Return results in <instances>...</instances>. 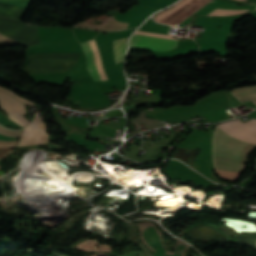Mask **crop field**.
Segmentation results:
<instances>
[{
	"label": "crop field",
	"instance_id": "obj_1",
	"mask_svg": "<svg viewBox=\"0 0 256 256\" xmlns=\"http://www.w3.org/2000/svg\"><path fill=\"white\" fill-rule=\"evenodd\" d=\"M256 143L236 139L218 125L213 134V163L215 169L243 172L248 153Z\"/></svg>",
	"mask_w": 256,
	"mask_h": 256
},
{
	"label": "crop field",
	"instance_id": "obj_2",
	"mask_svg": "<svg viewBox=\"0 0 256 256\" xmlns=\"http://www.w3.org/2000/svg\"><path fill=\"white\" fill-rule=\"evenodd\" d=\"M128 38L129 37L113 41L116 63L124 60ZM80 44L86 55L87 69L93 81L102 80L96 69L94 54L90 42L87 41Z\"/></svg>",
	"mask_w": 256,
	"mask_h": 256
},
{
	"label": "crop field",
	"instance_id": "obj_3",
	"mask_svg": "<svg viewBox=\"0 0 256 256\" xmlns=\"http://www.w3.org/2000/svg\"><path fill=\"white\" fill-rule=\"evenodd\" d=\"M129 47L170 51L177 47V41L133 34Z\"/></svg>",
	"mask_w": 256,
	"mask_h": 256
},
{
	"label": "crop field",
	"instance_id": "obj_4",
	"mask_svg": "<svg viewBox=\"0 0 256 256\" xmlns=\"http://www.w3.org/2000/svg\"><path fill=\"white\" fill-rule=\"evenodd\" d=\"M0 106L10 119L25 127L29 122L21 115L26 112L25 106L18 99L4 92H0Z\"/></svg>",
	"mask_w": 256,
	"mask_h": 256
},
{
	"label": "crop field",
	"instance_id": "obj_5",
	"mask_svg": "<svg viewBox=\"0 0 256 256\" xmlns=\"http://www.w3.org/2000/svg\"><path fill=\"white\" fill-rule=\"evenodd\" d=\"M47 139L48 135L45 132L43 119L36 118L27 128L24 129L18 146L43 143L47 142Z\"/></svg>",
	"mask_w": 256,
	"mask_h": 256
},
{
	"label": "crop field",
	"instance_id": "obj_6",
	"mask_svg": "<svg viewBox=\"0 0 256 256\" xmlns=\"http://www.w3.org/2000/svg\"><path fill=\"white\" fill-rule=\"evenodd\" d=\"M249 7L250 6H240V5H236V4H232V3L212 0L208 4H206L204 7L199 9L197 12H195L193 15H206L215 8H219V9H249ZM193 15H191V16H193ZM189 18L184 20L178 26L182 27L185 24L188 25Z\"/></svg>",
	"mask_w": 256,
	"mask_h": 256
},
{
	"label": "crop field",
	"instance_id": "obj_7",
	"mask_svg": "<svg viewBox=\"0 0 256 256\" xmlns=\"http://www.w3.org/2000/svg\"><path fill=\"white\" fill-rule=\"evenodd\" d=\"M221 21L210 17H198L199 25H206L204 37L216 38L217 30Z\"/></svg>",
	"mask_w": 256,
	"mask_h": 256
},
{
	"label": "crop field",
	"instance_id": "obj_8",
	"mask_svg": "<svg viewBox=\"0 0 256 256\" xmlns=\"http://www.w3.org/2000/svg\"><path fill=\"white\" fill-rule=\"evenodd\" d=\"M231 93L241 102L251 100L256 104V86H248L231 91Z\"/></svg>",
	"mask_w": 256,
	"mask_h": 256
},
{
	"label": "crop field",
	"instance_id": "obj_9",
	"mask_svg": "<svg viewBox=\"0 0 256 256\" xmlns=\"http://www.w3.org/2000/svg\"><path fill=\"white\" fill-rule=\"evenodd\" d=\"M98 243L96 242L95 239H91V240H87L83 243H80L74 247H77L79 249H82L84 251H101V252H109L110 246L108 245H103L101 247H99L96 250L90 249L91 247L97 245Z\"/></svg>",
	"mask_w": 256,
	"mask_h": 256
},
{
	"label": "crop field",
	"instance_id": "obj_10",
	"mask_svg": "<svg viewBox=\"0 0 256 256\" xmlns=\"http://www.w3.org/2000/svg\"><path fill=\"white\" fill-rule=\"evenodd\" d=\"M176 0H139L140 5L161 9Z\"/></svg>",
	"mask_w": 256,
	"mask_h": 256
},
{
	"label": "crop field",
	"instance_id": "obj_11",
	"mask_svg": "<svg viewBox=\"0 0 256 256\" xmlns=\"http://www.w3.org/2000/svg\"><path fill=\"white\" fill-rule=\"evenodd\" d=\"M20 132L21 131H10V130H7V129H4V128L0 127V133L4 134V135H8V136L18 138L19 135H20Z\"/></svg>",
	"mask_w": 256,
	"mask_h": 256
},
{
	"label": "crop field",
	"instance_id": "obj_12",
	"mask_svg": "<svg viewBox=\"0 0 256 256\" xmlns=\"http://www.w3.org/2000/svg\"><path fill=\"white\" fill-rule=\"evenodd\" d=\"M0 89L11 93V94L14 95L15 97H17L19 100H21V101H23V102H25V103H27V104L33 105V102H30V101H28V100H25V99L19 97L17 94L13 93L12 91H10V90H8V89L2 87V86H0Z\"/></svg>",
	"mask_w": 256,
	"mask_h": 256
},
{
	"label": "crop field",
	"instance_id": "obj_13",
	"mask_svg": "<svg viewBox=\"0 0 256 256\" xmlns=\"http://www.w3.org/2000/svg\"><path fill=\"white\" fill-rule=\"evenodd\" d=\"M222 1H228V2H232V3H238V4H244V5H255L256 3H252V2H243V1H236V0H222Z\"/></svg>",
	"mask_w": 256,
	"mask_h": 256
},
{
	"label": "crop field",
	"instance_id": "obj_14",
	"mask_svg": "<svg viewBox=\"0 0 256 256\" xmlns=\"http://www.w3.org/2000/svg\"><path fill=\"white\" fill-rule=\"evenodd\" d=\"M14 143H15V141L14 142H2V141H0V147L13 146Z\"/></svg>",
	"mask_w": 256,
	"mask_h": 256
},
{
	"label": "crop field",
	"instance_id": "obj_15",
	"mask_svg": "<svg viewBox=\"0 0 256 256\" xmlns=\"http://www.w3.org/2000/svg\"><path fill=\"white\" fill-rule=\"evenodd\" d=\"M107 254H95V255H90V256H106Z\"/></svg>",
	"mask_w": 256,
	"mask_h": 256
}]
</instances>
